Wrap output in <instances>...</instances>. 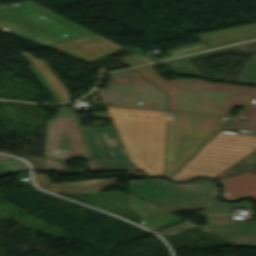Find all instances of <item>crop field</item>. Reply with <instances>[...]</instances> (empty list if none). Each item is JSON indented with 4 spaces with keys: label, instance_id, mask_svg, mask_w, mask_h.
<instances>
[{
    "label": "crop field",
    "instance_id": "00972430",
    "mask_svg": "<svg viewBox=\"0 0 256 256\" xmlns=\"http://www.w3.org/2000/svg\"><path fill=\"white\" fill-rule=\"evenodd\" d=\"M120 60H122L129 67L148 63V62L141 60L133 55L125 56L123 58H120Z\"/></svg>",
    "mask_w": 256,
    "mask_h": 256
},
{
    "label": "crop field",
    "instance_id": "eef30255",
    "mask_svg": "<svg viewBox=\"0 0 256 256\" xmlns=\"http://www.w3.org/2000/svg\"><path fill=\"white\" fill-rule=\"evenodd\" d=\"M115 119H135V120H152L151 118H145L144 116H113Z\"/></svg>",
    "mask_w": 256,
    "mask_h": 256
},
{
    "label": "crop field",
    "instance_id": "dafd665d",
    "mask_svg": "<svg viewBox=\"0 0 256 256\" xmlns=\"http://www.w3.org/2000/svg\"><path fill=\"white\" fill-rule=\"evenodd\" d=\"M196 225L190 223V222H184L182 224H179L177 226H174L172 228L166 229L164 231L159 232L158 234H160L163 238L168 237L170 235L176 234L178 232L187 230L189 228H192Z\"/></svg>",
    "mask_w": 256,
    "mask_h": 256
},
{
    "label": "crop field",
    "instance_id": "4177f3b9",
    "mask_svg": "<svg viewBox=\"0 0 256 256\" xmlns=\"http://www.w3.org/2000/svg\"><path fill=\"white\" fill-rule=\"evenodd\" d=\"M239 117L256 121V106L249 105Z\"/></svg>",
    "mask_w": 256,
    "mask_h": 256
},
{
    "label": "crop field",
    "instance_id": "cbeb9de0",
    "mask_svg": "<svg viewBox=\"0 0 256 256\" xmlns=\"http://www.w3.org/2000/svg\"><path fill=\"white\" fill-rule=\"evenodd\" d=\"M129 198V207L142 216L139 220L144 224L142 226L155 231L168 225L182 221L181 219L166 213L132 195Z\"/></svg>",
    "mask_w": 256,
    "mask_h": 256
},
{
    "label": "crop field",
    "instance_id": "5a996713",
    "mask_svg": "<svg viewBox=\"0 0 256 256\" xmlns=\"http://www.w3.org/2000/svg\"><path fill=\"white\" fill-rule=\"evenodd\" d=\"M202 41L196 44L188 45L185 47L165 51L170 56L154 59L149 56L142 54L139 49L132 48L128 49L150 61H156L160 59H165L173 56H178L182 54H187L195 51H200L204 49H209L213 47H218L226 44H231L235 42H240L248 39L256 38V23H251L247 25L237 26L233 28L218 30L214 32L204 33L196 35Z\"/></svg>",
    "mask_w": 256,
    "mask_h": 256
},
{
    "label": "crop field",
    "instance_id": "3316defc",
    "mask_svg": "<svg viewBox=\"0 0 256 256\" xmlns=\"http://www.w3.org/2000/svg\"><path fill=\"white\" fill-rule=\"evenodd\" d=\"M206 217L209 226L199 228L233 245L256 247V221L235 223L230 216ZM217 228H220V230H217Z\"/></svg>",
    "mask_w": 256,
    "mask_h": 256
},
{
    "label": "crop field",
    "instance_id": "d9b57169",
    "mask_svg": "<svg viewBox=\"0 0 256 256\" xmlns=\"http://www.w3.org/2000/svg\"><path fill=\"white\" fill-rule=\"evenodd\" d=\"M52 191L56 194L98 192L115 184L114 178L90 180L77 183H50Z\"/></svg>",
    "mask_w": 256,
    "mask_h": 256
},
{
    "label": "crop field",
    "instance_id": "5142ce71",
    "mask_svg": "<svg viewBox=\"0 0 256 256\" xmlns=\"http://www.w3.org/2000/svg\"><path fill=\"white\" fill-rule=\"evenodd\" d=\"M226 185L224 196L226 198H235L244 195L256 197V175L248 172L233 177L221 179ZM228 192L229 195H225Z\"/></svg>",
    "mask_w": 256,
    "mask_h": 256
},
{
    "label": "crop field",
    "instance_id": "412701ff",
    "mask_svg": "<svg viewBox=\"0 0 256 256\" xmlns=\"http://www.w3.org/2000/svg\"><path fill=\"white\" fill-rule=\"evenodd\" d=\"M228 127L256 131V122L232 119L172 179L184 180L195 175L215 177L237 161L256 150V132L247 135L233 133Z\"/></svg>",
    "mask_w": 256,
    "mask_h": 256
},
{
    "label": "crop field",
    "instance_id": "d1516ede",
    "mask_svg": "<svg viewBox=\"0 0 256 256\" xmlns=\"http://www.w3.org/2000/svg\"><path fill=\"white\" fill-rule=\"evenodd\" d=\"M91 158H127L113 127L81 128Z\"/></svg>",
    "mask_w": 256,
    "mask_h": 256
},
{
    "label": "crop field",
    "instance_id": "214f88e0",
    "mask_svg": "<svg viewBox=\"0 0 256 256\" xmlns=\"http://www.w3.org/2000/svg\"><path fill=\"white\" fill-rule=\"evenodd\" d=\"M238 83L256 86V60H250Z\"/></svg>",
    "mask_w": 256,
    "mask_h": 256
},
{
    "label": "crop field",
    "instance_id": "34b2d1b8",
    "mask_svg": "<svg viewBox=\"0 0 256 256\" xmlns=\"http://www.w3.org/2000/svg\"><path fill=\"white\" fill-rule=\"evenodd\" d=\"M111 115H145L153 121L114 120L128 157L150 175H162L165 113L108 107Z\"/></svg>",
    "mask_w": 256,
    "mask_h": 256
},
{
    "label": "crop field",
    "instance_id": "ae1a2a85",
    "mask_svg": "<svg viewBox=\"0 0 256 256\" xmlns=\"http://www.w3.org/2000/svg\"><path fill=\"white\" fill-rule=\"evenodd\" d=\"M27 161H29L32 164L33 169H36V170L41 169L40 165H41L42 158L28 159Z\"/></svg>",
    "mask_w": 256,
    "mask_h": 256
},
{
    "label": "crop field",
    "instance_id": "22f410ed",
    "mask_svg": "<svg viewBox=\"0 0 256 256\" xmlns=\"http://www.w3.org/2000/svg\"><path fill=\"white\" fill-rule=\"evenodd\" d=\"M227 52H232L235 54L256 53V41L240 44V45L224 47V48L203 52L199 54H194L190 56H185L181 58H176L172 60H167L161 63L169 66L172 69V71L177 74L204 77L190 61L206 58L214 55H219Z\"/></svg>",
    "mask_w": 256,
    "mask_h": 256
},
{
    "label": "crop field",
    "instance_id": "ac0d7876",
    "mask_svg": "<svg viewBox=\"0 0 256 256\" xmlns=\"http://www.w3.org/2000/svg\"><path fill=\"white\" fill-rule=\"evenodd\" d=\"M128 184L132 195L166 212L208 209L205 214H228L231 208H250L251 205V202H217L214 200L217 185L204 179L181 185L160 179L129 181Z\"/></svg>",
    "mask_w": 256,
    "mask_h": 256
},
{
    "label": "crop field",
    "instance_id": "f4fd0767",
    "mask_svg": "<svg viewBox=\"0 0 256 256\" xmlns=\"http://www.w3.org/2000/svg\"><path fill=\"white\" fill-rule=\"evenodd\" d=\"M39 16L45 18L41 19ZM45 46L93 34V32L31 2L0 5V28ZM68 36L64 37L62 34Z\"/></svg>",
    "mask_w": 256,
    "mask_h": 256
},
{
    "label": "crop field",
    "instance_id": "d8731c3e",
    "mask_svg": "<svg viewBox=\"0 0 256 256\" xmlns=\"http://www.w3.org/2000/svg\"><path fill=\"white\" fill-rule=\"evenodd\" d=\"M44 156L88 158L87 147L67 108H58V115L48 120Z\"/></svg>",
    "mask_w": 256,
    "mask_h": 256
},
{
    "label": "crop field",
    "instance_id": "92a150f3",
    "mask_svg": "<svg viewBox=\"0 0 256 256\" xmlns=\"http://www.w3.org/2000/svg\"><path fill=\"white\" fill-rule=\"evenodd\" d=\"M0 175L12 170H29L28 165L21 160L0 161Z\"/></svg>",
    "mask_w": 256,
    "mask_h": 256
},
{
    "label": "crop field",
    "instance_id": "733c2abd",
    "mask_svg": "<svg viewBox=\"0 0 256 256\" xmlns=\"http://www.w3.org/2000/svg\"><path fill=\"white\" fill-rule=\"evenodd\" d=\"M21 55L30 60L39 69L49 84L55 89V91L62 97L64 101H68V92L43 61L35 59L28 53H22Z\"/></svg>",
    "mask_w": 256,
    "mask_h": 256
},
{
    "label": "crop field",
    "instance_id": "4a817a6b",
    "mask_svg": "<svg viewBox=\"0 0 256 256\" xmlns=\"http://www.w3.org/2000/svg\"><path fill=\"white\" fill-rule=\"evenodd\" d=\"M90 170H141L129 159H91Z\"/></svg>",
    "mask_w": 256,
    "mask_h": 256
},
{
    "label": "crop field",
    "instance_id": "28ad6ade",
    "mask_svg": "<svg viewBox=\"0 0 256 256\" xmlns=\"http://www.w3.org/2000/svg\"><path fill=\"white\" fill-rule=\"evenodd\" d=\"M49 47L87 63L123 49L96 34Z\"/></svg>",
    "mask_w": 256,
    "mask_h": 256
},
{
    "label": "crop field",
    "instance_id": "730fd06b",
    "mask_svg": "<svg viewBox=\"0 0 256 256\" xmlns=\"http://www.w3.org/2000/svg\"><path fill=\"white\" fill-rule=\"evenodd\" d=\"M35 183L40 186L41 188L45 189V190H48V191H51V188H50V184H49V181H45L43 178H41L40 176L38 175H35ZM52 192V191H51Z\"/></svg>",
    "mask_w": 256,
    "mask_h": 256
},
{
    "label": "crop field",
    "instance_id": "e52e79f7",
    "mask_svg": "<svg viewBox=\"0 0 256 256\" xmlns=\"http://www.w3.org/2000/svg\"><path fill=\"white\" fill-rule=\"evenodd\" d=\"M110 77L108 87L101 90L106 103L116 106L166 110V95L142 79V76L132 69L113 73ZM136 102L143 104L136 105Z\"/></svg>",
    "mask_w": 256,
    "mask_h": 256
},
{
    "label": "crop field",
    "instance_id": "a9b5d70f",
    "mask_svg": "<svg viewBox=\"0 0 256 256\" xmlns=\"http://www.w3.org/2000/svg\"><path fill=\"white\" fill-rule=\"evenodd\" d=\"M31 72L37 77V79L44 85V87L50 92V94L54 97L56 103L62 102L60 98L54 93V91L48 86V84L43 80V78L38 74V72L34 69L33 66L29 67Z\"/></svg>",
    "mask_w": 256,
    "mask_h": 256
},
{
    "label": "crop field",
    "instance_id": "8a807250",
    "mask_svg": "<svg viewBox=\"0 0 256 256\" xmlns=\"http://www.w3.org/2000/svg\"><path fill=\"white\" fill-rule=\"evenodd\" d=\"M135 70L169 94L168 110L172 111L229 116L232 107H244L256 95V88L199 79L167 82L154 72L151 65Z\"/></svg>",
    "mask_w": 256,
    "mask_h": 256
},
{
    "label": "crop field",
    "instance_id": "dd49c442",
    "mask_svg": "<svg viewBox=\"0 0 256 256\" xmlns=\"http://www.w3.org/2000/svg\"><path fill=\"white\" fill-rule=\"evenodd\" d=\"M229 120L168 113L165 176L170 177Z\"/></svg>",
    "mask_w": 256,
    "mask_h": 256
},
{
    "label": "crop field",
    "instance_id": "d3111659",
    "mask_svg": "<svg viewBox=\"0 0 256 256\" xmlns=\"http://www.w3.org/2000/svg\"><path fill=\"white\" fill-rule=\"evenodd\" d=\"M93 117L110 119L108 113H93Z\"/></svg>",
    "mask_w": 256,
    "mask_h": 256
},
{
    "label": "crop field",
    "instance_id": "bc2a9ffb",
    "mask_svg": "<svg viewBox=\"0 0 256 256\" xmlns=\"http://www.w3.org/2000/svg\"><path fill=\"white\" fill-rule=\"evenodd\" d=\"M254 154H256V151H254L253 153L248 155L247 158L251 157ZM255 168H256V162L253 164H249L245 160L242 159L238 163H236L235 165H233L232 167H230L229 169H227L226 171H224L223 173H221L220 175H218L215 178L220 179V178L232 175V174L241 173L246 170H251V169H255Z\"/></svg>",
    "mask_w": 256,
    "mask_h": 256
},
{
    "label": "crop field",
    "instance_id": "750c4746",
    "mask_svg": "<svg viewBox=\"0 0 256 256\" xmlns=\"http://www.w3.org/2000/svg\"><path fill=\"white\" fill-rule=\"evenodd\" d=\"M244 159H245L247 162L252 163V162L256 161V155L252 156V157L249 158V159H246V158H244Z\"/></svg>",
    "mask_w": 256,
    "mask_h": 256
}]
</instances>
